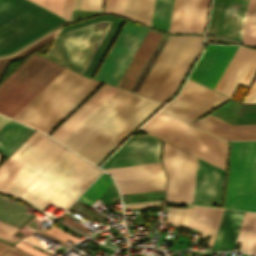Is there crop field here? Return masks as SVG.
<instances>
[{"instance_id": "crop-field-11", "label": "crop field", "mask_w": 256, "mask_h": 256, "mask_svg": "<svg viewBox=\"0 0 256 256\" xmlns=\"http://www.w3.org/2000/svg\"><path fill=\"white\" fill-rule=\"evenodd\" d=\"M227 99L188 79L180 95L162 110L191 122Z\"/></svg>"}, {"instance_id": "crop-field-13", "label": "crop field", "mask_w": 256, "mask_h": 256, "mask_svg": "<svg viewBox=\"0 0 256 256\" xmlns=\"http://www.w3.org/2000/svg\"><path fill=\"white\" fill-rule=\"evenodd\" d=\"M159 140L147 135L130 137L102 166V169L160 162Z\"/></svg>"}, {"instance_id": "crop-field-8", "label": "crop field", "mask_w": 256, "mask_h": 256, "mask_svg": "<svg viewBox=\"0 0 256 256\" xmlns=\"http://www.w3.org/2000/svg\"><path fill=\"white\" fill-rule=\"evenodd\" d=\"M88 164L65 149L19 197L43 210Z\"/></svg>"}, {"instance_id": "crop-field-37", "label": "crop field", "mask_w": 256, "mask_h": 256, "mask_svg": "<svg viewBox=\"0 0 256 256\" xmlns=\"http://www.w3.org/2000/svg\"><path fill=\"white\" fill-rule=\"evenodd\" d=\"M75 25L76 24H73L62 29L61 33L59 34L58 38L56 39L55 43L51 47L46 57L55 61L56 57L58 56L60 50L62 49Z\"/></svg>"}, {"instance_id": "crop-field-23", "label": "crop field", "mask_w": 256, "mask_h": 256, "mask_svg": "<svg viewBox=\"0 0 256 256\" xmlns=\"http://www.w3.org/2000/svg\"><path fill=\"white\" fill-rule=\"evenodd\" d=\"M245 212L225 210L211 250H232Z\"/></svg>"}, {"instance_id": "crop-field-6", "label": "crop field", "mask_w": 256, "mask_h": 256, "mask_svg": "<svg viewBox=\"0 0 256 256\" xmlns=\"http://www.w3.org/2000/svg\"><path fill=\"white\" fill-rule=\"evenodd\" d=\"M158 104L135 95L75 152L95 164Z\"/></svg>"}, {"instance_id": "crop-field-24", "label": "crop field", "mask_w": 256, "mask_h": 256, "mask_svg": "<svg viewBox=\"0 0 256 256\" xmlns=\"http://www.w3.org/2000/svg\"><path fill=\"white\" fill-rule=\"evenodd\" d=\"M97 173L101 171L88 165L52 202L62 209H66L78 195L90 184L88 183Z\"/></svg>"}, {"instance_id": "crop-field-9", "label": "crop field", "mask_w": 256, "mask_h": 256, "mask_svg": "<svg viewBox=\"0 0 256 256\" xmlns=\"http://www.w3.org/2000/svg\"><path fill=\"white\" fill-rule=\"evenodd\" d=\"M66 20L34 6L0 26V55L10 53Z\"/></svg>"}, {"instance_id": "crop-field-21", "label": "crop field", "mask_w": 256, "mask_h": 256, "mask_svg": "<svg viewBox=\"0 0 256 256\" xmlns=\"http://www.w3.org/2000/svg\"><path fill=\"white\" fill-rule=\"evenodd\" d=\"M192 124L224 140H256V125H231L211 114Z\"/></svg>"}, {"instance_id": "crop-field-19", "label": "crop field", "mask_w": 256, "mask_h": 256, "mask_svg": "<svg viewBox=\"0 0 256 256\" xmlns=\"http://www.w3.org/2000/svg\"><path fill=\"white\" fill-rule=\"evenodd\" d=\"M116 90L117 88L105 84L50 136L61 143Z\"/></svg>"}, {"instance_id": "crop-field-54", "label": "crop field", "mask_w": 256, "mask_h": 256, "mask_svg": "<svg viewBox=\"0 0 256 256\" xmlns=\"http://www.w3.org/2000/svg\"><path fill=\"white\" fill-rule=\"evenodd\" d=\"M97 175H98V174H97ZM97 175H96V176H97ZM96 176H95V177H96ZM95 177H94V178H95ZM94 178H93V179H94ZM93 179H92V180H93ZM92 180H91V181H92ZM91 181H90V182H91Z\"/></svg>"}, {"instance_id": "crop-field-31", "label": "crop field", "mask_w": 256, "mask_h": 256, "mask_svg": "<svg viewBox=\"0 0 256 256\" xmlns=\"http://www.w3.org/2000/svg\"><path fill=\"white\" fill-rule=\"evenodd\" d=\"M34 5L27 0H0V25Z\"/></svg>"}, {"instance_id": "crop-field-15", "label": "crop field", "mask_w": 256, "mask_h": 256, "mask_svg": "<svg viewBox=\"0 0 256 256\" xmlns=\"http://www.w3.org/2000/svg\"><path fill=\"white\" fill-rule=\"evenodd\" d=\"M256 75V50L238 46L215 90L231 97L238 83L250 86Z\"/></svg>"}, {"instance_id": "crop-field-4", "label": "crop field", "mask_w": 256, "mask_h": 256, "mask_svg": "<svg viewBox=\"0 0 256 256\" xmlns=\"http://www.w3.org/2000/svg\"><path fill=\"white\" fill-rule=\"evenodd\" d=\"M64 69L33 54L0 85V113L12 118Z\"/></svg>"}, {"instance_id": "crop-field-53", "label": "crop field", "mask_w": 256, "mask_h": 256, "mask_svg": "<svg viewBox=\"0 0 256 256\" xmlns=\"http://www.w3.org/2000/svg\"><path fill=\"white\" fill-rule=\"evenodd\" d=\"M12 249H14V250H16V251H18V252H20V253L26 255V256H31V255H29V254H27V253H25V252H23V251H21V250L15 248V247H13Z\"/></svg>"}, {"instance_id": "crop-field-20", "label": "crop field", "mask_w": 256, "mask_h": 256, "mask_svg": "<svg viewBox=\"0 0 256 256\" xmlns=\"http://www.w3.org/2000/svg\"><path fill=\"white\" fill-rule=\"evenodd\" d=\"M185 153L164 143L163 163L168 177L166 200L181 202Z\"/></svg>"}, {"instance_id": "crop-field-27", "label": "crop field", "mask_w": 256, "mask_h": 256, "mask_svg": "<svg viewBox=\"0 0 256 256\" xmlns=\"http://www.w3.org/2000/svg\"><path fill=\"white\" fill-rule=\"evenodd\" d=\"M156 116H158V117H160V118H162V119H164V120L182 128V129H184L188 132H191V133H193V134H195V135H197V136H199V137H201V138H203V139H205V140H207V141H209V142H211V143H213V144H215V145H217V146L226 150V146H227L226 142H224V141H222V140H220V139H218V138H216V137H214V136H212V135H210L206 132H203V131H201V130H199V129H197V128H195V127H193V126H191V125H189L185 122H182V121H180V120H178V119H176V118H174V117H172V116H170V115H168V114H166L162 111H159L156 114ZM156 116H154V118H156V119H158V120L176 128V129H178V130H180V131H182V132H184L188 135H191V136H193V137H195V138H197V139H199V140H201V141H203V142H205V143H207V144H209V145H211V146H213V147H215V148H217V149L226 153L225 150H223V149H221V148H219V147H217V146H215V145H213V144H211V143H209V142H207V141H205V140H203V139H201V138H199V137H197L193 134H190V133H188V132H186V131H184V130H182V129H180V128H178V127H176V126H174V125H172V124H170V123H168V122H166V121H164V120H162V119H160Z\"/></svg>"}, {"instance_id": "crop-field-39", "label": "crop field", "mask_w": 256, "mask_h": 256, "mask_svg": "<svg viewBox=\"0 0 256 256\" xmlns=\"http://www.w3.org/2000/svg\"><path fill=\"white\" fill-rule=\"evenodd\" d=\"M103 0H75L74 7L101 10Z\"/></svg>"}, {"instance_id": "crop-field-12", "label": "crop field", "mask_w": 256, "mask_h": 256, "mask_svg": "<svg viewBox=\"0 0 256 256\" xmlns=\"http://www.w3.org/2000/svg\"><path fill=\"white\" fill-rule=\"evenodd\" d=\"M249 0H214L207 33L241 40Z\"/></svg>"}, {"instance_id": "crop-field-49", "label": "crop field", "mask_w": 256, "mask_h": 256, "mask_svg": "<svg viewBox=\"0 0 256 256\" xmlns=\"http://www.w3.org/2000/svg\"><path fill=\"white\" fill-rule=\"evenodd\" d=\"M3 256H24L12 249H10L9 251H7Z\"/></svg>"}, {"instance_id": "crop-field-14", "label": "crop field", "mask_w": 256, "mask_h": 256, "mask_svg": "<svg viewBox=\"0 0 256 256\" xmlns=\"http://www.w3.org/2000/svg\"><path fill=\"white\" fill-rule=\"evenodd\" d=\"M133 96L118 89L61 144L75 151Z\"/></svg>"}, {"instance_id": "crop-field-51", "label": "crop field", "mask_w": 256, "mask_h": 256, "mask_svg": "<svg viewBox=\"0 0 256 256\" xmlns=\"http://www.w3.org/2000/svg\"><path fill=\"white\" fill-rule=\"evenodd\" d=\"M26 240H28V241H30V242H32V243H35V244H37V245H39V246H43L42 244H39V243H37V238H35V237H33V236H30V237H28V238H26Z\"/></svg>"}, {"instance_id": "crop-field-25", "label": "crop field", "mask_w": 256, "mask_h": 256, "mask_svg": "<svg viewBox=\"0 0 256 256\" xmlns=\"http://www.w3.org/2000/svg\"><path fill=\"white\" fill-rule=\"evenodd\" d=\"M32 132L33 130L9 120L0 129V151L9 157Z\"/></svg>"}, {"instance_id": "crop-field-34", "label": "crop field", "mask_w": 256, "mask_h": 256, "mask_svg": "<svg viewBox=\"0 0 256 256\" xmlns=\"http://www.w3.org/2000/svg\"><path fill=\"white\" fill-rule=\"evenodd\" d=\"M241 42L256 46V0H250Z\"/></svg>"}, {"instance_id": "crop-field-33", "label": "crop field", "mask_w": 256, "mask_h": 256, "mask_svg": "<svg viewBox=\"0 0 256 256\" xmlns=\"http://www.w3.org/2000/svg\"><path fill=\"white\" fill-rule=\"evenodd\" d=\"M111 184L109 176L103 173L78 199L91 205Z\"/></svg>"}, {"instance_id": "crop-field-2", "label": "crop field", "mask_w": 256, "mask_h": 256, "mask_svg": "<svg viewBox=\"0 0 256 256\" xmlns=\"http://www.w3.org/2000/svg\"><path fill=\"white\" fill-rule=\"evenodd\" d=\"M203 37L170 36L138 94L161 101L174 96L202 48ZM166 98L167 102L172 97Z\"/></svg>"}, {"instance_id": "crop-field-26", "label": "crop field", "mask_w": 256, "mask_h": 256, "mask_svg": "<svg viewBox=\"0 0 256 256\" xmlns=\"http://www.w3.org/2000/svg\"><path fill=\"white\" fill-rule=\"evenodd\" d=\"M115 181L164 175L160 163L105 170Z\"/></svg>"}, {"instance_id": "crop-field-42", "label": "crop field", "mask_w": 256, "mask_h": 256, "mask_svg": "<svg viewBox=\"0 0 256 256\" xmlns=\"http://www.w3.org/2000/svg\"><path fill=\"white\" fill-rule=\"evenodd\" d=\"M255 247H256V221H255V224H254V227H253V230H252V233H251V236H250V239H249V242H248L245 252L253 254Z\"/></svg>"}, {"instance_id": "crop-field-40", "label": "crop field", "mask_w": 256, "mask_h": 256, "mask_svg": "<svg viewBox=\"0 0 256 256\" xmlns=\"http://www.w3.org/2000/svg\"><path fill=\"white\" fill-rule=\"evenodd\" d=\"M45 232H47V233L65 241V242H68V240L73 242V243H76V242L80 241V239H77V238L69 235L68 233L56 228L55 226L46 230Z\"/></svg>"}, {"instance_id": "crop-field-18", "label": "crop field", "mask_w": 256, "mask_h": 256, "mask_svg": "<svg viewBox=\"0 0 256 256\" xmlns=\"http://www.w3.org/2000/svg\"><path fill=\"white\" fill-rule=\"evenodd\" d=\"M224 172L197 159L193 203L221 205Z\"/></svg>"}, {"instance_id": "crop-field-52", "label": "crop field", "mask_w": 256, "mask_h": 256, "mask_svg": "<svg viewBox=\"0 0 256 256\" xmlns=\"http://www.w3.org/2000/svg\"><path fill=\"white\" fill-rule=\"evenodd\" d=\"M8 121V119L0 116V128Z\"/></svg>"}, {"instance_id": "crop-field-10", "label": "crop field", "mask_w": 256, "mask_h": 256, "mask_svg": "<svg viewBox=\"0 0 256 256\" xmlns=\"http://www.w3.org/2000/svg\"><path fill=\"white\" fill-rule=\"evenodd\" d=\"M148 28L126 21L95 79L116 86Z\"/></svg>"}, {"instance_id": "crop-field-30", "label": "crop field", "mask_w": 256, "mask_h": 256, "mask_svg": "<svg viewBox=\"0 0 256 256\" xmlns=\"http://www.w3.org/2000/svg\"><path fill=\"white\" fill-rule=\"evenodd\" d=\"M174 0H156L152 18V27L168 31Z\"/></svg>"}, {"instance_id": "crop-field-35", "label": "crop field", "mask_w": 256, "mask_h": 256, "mask_svg": "<svg viewBox=\"0 0 256 256\" xmlns=\"http://www.w3.org/2000/svg\"><path fill=\"white\" fill-rule=\"evenodd\" d=\"M191 209H181L169 207L167 211L166 223L176 227H185Z\"/></svg>"}, {"instance_id": "crop-field-22", "label": "crop field", "mask_w": 256, "mask_h": 256, "mask_svg": "<svg viewBox=\"0 0 256 256\" xmlns=\"http://www.w3.org/2000/svg\"><path fill=\"white\" fill-rule=\"evenodd\" d=\"M155 0H106L104 12H113L146 25L151 24Z\"/></svg>"}, {"instance_id": "crop-field-5", "label": "crop field", "mask_w": 256, "mask_h": 256, "mask_svg": "<svg viewBox=\"0 0 256 256\" xmlns=\"http://www.w3.org/2000/svg\"><path fill=\"white\" fill-rule=\"evenodd\" d=\"M122 23L112 16L83 21L60 63L91 77Z\"/></svg>"}, {"instance_id": "crop-field-48", "label": "crop field", "mask_w": 256, "mask_h": 256, "mask_svg": "<svg viewBox=\"0 0 256 256\" xmlns=\"http://www.w3.org/2000/svg\"><path fill=\"white\" fill-rule=\"evenodd\" d=\"M60 217H62V218H64V219H66V220L72 222L73 224H75V225H77V226H79V227H81V228H83V229H85V230L87 229L84 225H82V224H80V223L74 221L73 219H71V218H69V217H67V216H65V215H63V214H62Z\"/></svg>"}, {"instance_id": "crop-field-38", "label": "crop field", "mask_w": 256, "mask_h": 256, "mask_svg": "<svg viewBox=\"0 0 256 256\" xmlns=\"http://www.w3.org/2000/svg\"><path fill=\"white\" fill-rule=\"evenodd\" d=\"M59 15L62 14L64 0H31Z\"/></svg>"}, {"instance_id": "crop-field-32", "label": "crop field", "mask_w": 256, "mask_h": 256, "mask_svg": "<svg viewBox=\"0 0 256 256\" xmlns=\"http://www.w3.org/2000/svg\"><path fill=\"white\" fill-rule=\"evenodd\" d=\"M196 158L186 153L182 202L192 203Z\"/></svg>"}, {"instance_id": "crop-field-7", "label": "crop field", "mask_w": 256, "mask_h": 256, "mask_svg": "<svg viewBox=\"0 0 256 256\" xmlns=\"http://www.w3.org/2000/svg\"><path fill=\"white\" fill-rule=\"evenodd\" d=\"M225 207L256 211V141L232 142Z\"/></svg>"}, {"instance_id": "crop-field-41", "label": "crop field", "mask_w": 256, "mask_h": 256, "mask_svg": "<svg viewBox=\"0 0 256 256\" xmlns=\"http://www.w3.org/2000/svg\"><path fill=\"white\" fill-rule=\"evenodd\" d=\"M223 211H224V210H221V209H218V210H217V213H216L214 222H213V224H212V227H211V230H210V233H209V235L212 236L210 245H212L213 240H214V238H215V235H216V233H217V230H218V227H219V224H220V220H221Z\"/></svg>"}, {"instance_id": "crop-field-45", "label": "crop field", "mask_w": 256, "mask_h": 256, "mask_svg": "<svg viewBox=\"0 0 256 256\" xmlns=\"http://www.w3.org/2000/svg\"><path fill=\"white\" fill-rule=\"evenodd\" d=\"M15 246H17V247H19V248H21V249H23V250H25V251L35 255V256H48V255H45V254H43V253H41V252H39V251H37V250H35L33 248H31V247L21 243V242L17 243Z\"/></svg>"}, {"instance_id": "crop-field-47", "label": "crop field", "mask_w": 256, "mask_h": 256, "mask_svg": "<svg viewBox=\"0 0 256 256\" xmlns=\"http://www.w3.org/2000/svg\"><path fill=\"white\" fill-rule=\"evenodd\" d=\"M158 203H159V202L145 203V204H137V205H129V206H125V208H126V209H130V208L154 206V205H158Z\"/></svg>"}, {"instance_id": "crop-field-1", "label": "crop field", "mask_w": 256, "mask_h": 256, "mask_svg": "<svg viewBox=\"0 0 256 256\" xmlns=\"http://www.w3.org/2000/svg\"><path fill=\"white\" fill-rule=\"evenodd\" d=\"M99 84L66 68L13 119L47 134Z\"/></svg>"}, {"instance_id": "crop-field-44", "label": "crop field", "mask_w": 256, "mask_h": 256, "mask_svg": "<svg viewBox=\"0 0 256 256\" xmlns=\"http://www.w3.org/2000/svg\"><path fill=\"white\" fill-rule=\"evenodd\" d=\"M73 0H65L62 16L69 19L71 18Z\"/></svg>"}, {"instance_id": "crop-field-50", "label": "crop field", "mask_w": 256, "mask_h": 256, "mask_svg": "<svg viewBox=\"0 0 256 256\" xmlns=\"http://www.w3.org/2000/svg\"><path fill=\"white\" fill-rule=\"evenodd\" d=\"M9 248H11V246L6 245V244L0 242V255H2Z\"/></svg>"}, {"instance_id": "crop-field-16", "label": "crop field", "mask_w": 256, "mask_h": 256, "mask_svg": "<svg viewBox=\"0 0 256 256\" xmlns=\"http://www.w3.org/2000/svg\"><path fill=\"white\" fill-rule=\"evenodd\" d=\"M237 46L208 44L189 78L214 89Z\"/></svg>"}, {"instance_id": "crop-field-28", "label": "crop field", "mask_w": 256, "mask_h": 256, "mask_svg": "<svg viewBox=\"0 0 256 256\" xmlns=\"http://www.w3.org/2000/svg\"><path fill=\"white\" fill-rule=\"evenodd\" d=\"M123 194L163 190L164 177H152L117 182Z\"/></svg>"}, {"instance_id": "crop-field-55", "label": "crop field", "mask_w": 256, "mask_h": 256, "mask_svg": "<svg viewBox=\"0 0 256 256\" xmlns=\"http://www.w3.org/2000/svg\"><path fill=\"white\" fill-rule=\"evenodd\" d=\"M254 254H256V250H255V253Z\"/></svg>"}, {"instance_id": "crop-field-17", "label": "crop field", "mask_w": 256, "mask_h": 256, "mask_svg": "<svg viewBox=\"0 0 256 256\" xmlns=\"http://www.w3.org/2000/svg\"><path fill=\"white\" fill-rule=\"evenodd\" d=\"M209 0H175L170 32L203 33Z\"/></svg>"}, {"instance_id": "crop-field-36", "label": "crop field", "mask_w": 256, "mask_h": 256, "mask_svg": "<svg viewBox=\"0 0 256 256\" xmlns=\"http://www.w3.org/2000/svg\"><path fill=\"white\" fill-rule=\"evenodd\" d=\"M255 218H256V214L246 212L237 241H236L238 243H242L239 250H242V251L245 250Z\"/></svg>"}, {"instance_id": "crop-field-43", "label": "crop field", "mask_w": 256, "mask_h": 256, "mask_svg": "<svg viewBox=\"0 0 256 256\" xmlns=\"http://www.w3.org/2000/svg\"><path fill=\"white\" fill-rule=\"evenodd\" d=\"M252 86H254L256 88V80L254 81ZM252 86H251L248 94L246 95L243 103H256V89Z\"/></svg>"}, {"instance_id": "crop-field-3", "label": "crop field", "mask_w": 256, "mask_h": 256, "mask_svg": "<svg viewBox=\"0 0 256 256\" xmlns=\"http://www.w3.org/2000/svg\"><path fill=\"white\" fill-rule=\"evenodd\" d=\"M64 149L35 131L0 166V191L18 197Z\"/></svg>"}, {"instance_id": "crop-field-46", "label": "crop field", "mask_w": 256, "mask_h": 256, "mask_svg": "<svg viewBox=\"0 0 256 256\" xmlns=\"http://www.w3.org/2000/svg\"><path fill=\"white\" fill-rule=\"evenodd\" d=\"M82 22L77 23L76 27L74 28L72 34L70 35L69 39L67 40L66 44L64 45L63 49L61 50L59 56L57 57L56 61L59 62L60 58L62 57L63 53L65 52L66 48L68 47L70 41L72 40L73 36L75 35L76 31L78 30L79 26Z\"/></svg>"}, {"instance_id": "crop-field-29", "label": "crop field", "mask_w": 256, "mask_h": 256, "mask_svg": "<svg viewBox=\"0 0 256 256\" xmlns=\"http://www.w3.org/2000/svg\"><path fill=\"white\" fill-rule=\"evenodd\" d=\"M217 209L193 206L187 227L198 229L202 237L208 236Z\"/></svg>"}]
</instances>
